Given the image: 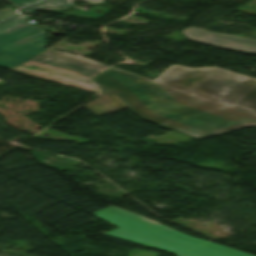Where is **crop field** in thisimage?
<instances>
[{"label":"crop field","mask_w":256,"mask_h":256,"mask_svg":"<svg viewBox=\"0 0 256 256\" xmlns=\"http://www.w3.org/2000/svg\"><path fill=\"white\" fill-rule=\"evenodd\" d=\"M93 80L110 89L83 105L98 115L129 107L147 121L199 139L256 126V78L173 65L154 80L115 67Z\"/></svg>","instance_id":"crop-field-1"},{"label":"crop field","mask_w":256,"mask_h":256,"mask_svg":"<svg viewBox=\"0 0 256 256\" xmlns=\"http://www.w3.org/2000/svg\"><path fill=\"white\" fill-rule=\"evenodd\" d=\"M92 214L120 227L102 234L173 252L177 256H253L166 226L149 224L147 222L152 220L114 206Z\"/></svg>","instance_id":"crop-field-2"},{"label":"crop field","mask_w":256,"mask_h":256,"mask_svg":"<svg viewBox=\"0 0 256 256\" xmlns=\"http://www.w3.org/2000/svg\"><path fill=\"white\" fill-rule=\"evenodd\" d=\"M47 31L18 15L0 23V67L11 70L46 45Z\"/></svg>","instance_id":"crop-field-3"},{"label":"crop field","mask_w":256,"mask_h":256,"mask_svg":"<svg viewBox=\"0 0 256 256\" xmlns=\"http://www.w3.org/2000/svg\"><path fill=\"white\" fill-rule=\"evenodd\" d=\"M31 60L92 79L110 68L96 62L47 49Z\"/></svg>","instance_id":"crop-field-4"},{"label":"crop field","mask_w":256,"mask_h":256,"mask_svg":"<svg viewBox=\"0 0 256 256\" xmlns=\"http://www.w3.org/2000/svg\"><path fill=\"white\" fill-rule=\"evenodd\" d=\"M182 33H184L193 41L228 48L240 52L256 54L255 39L229 34L214 33L193 27L184 29Z\"/></svg>","instance_id":"crop-field-5"},{"label":"crop field","mask_w":256,"mask_h":256,"mask_svg":"<svg viewBox=\"0 0 256 256\" xmlns=\"http://www.w3.org/2000/svg\"><path fill=\"white\" fill-rule=\"evenodd\" d=\"M75 0H46L34 7L26 8L21 11L24 13H30L33 12L41 7H64V6H74L72 3ZM84 2H87L89 4H94V3H100L103 2L102 0H82Z\"/></svg>","instance_id":"crop-field-6"},{"label":"crop field","mask_w":256,"mask_h":256,"mask_svg":"<svg viewBox=\"0 0 256 256\" xmlns=\"http://www.w3.org/2000/svg\"><path fill=\"white\" fill-rule=\"evenodd\" d=\"M25 69H27L29 71L37 72V73L46 74V75H49V76H52V77H55V78H59V79H62V80L68 81V82H72V83H76V84H80V85L90 87V86L84 84L83 83L84 81H82L80 79H77L75 77L68 76V75H65V74H61V73H58V72H55V71H51V70H48V69H45V68H42V67H39V66H36V65H30V66L26 67Z\"/></svg>","instance_id":"crop-field-7"},{"label":"crop field","mask_w":256,"mask_h":256,"mask_svg":"<svg viewBox=\"0 0 256 256\" xmlns=\"http://www.w3.org/2000/svg\"><path fill=\"white\" fill-rule=\"evenodd\" d=\"M30 61H31V60H29V61L23 63L22 65H24V64H26V63H28V62H30ZM22 65L18 66L17 68L21 67ZM45 66H47V65H45ZM48 67H50V66H48ZM17 68L13 69L12 71H15V72H18V73H22V74H26V75H30V76H34V77H38V78H42V79H46V80L53 81V82H57V83H61V84H65V83H62V82L54 81V80L47 79V78H44V77H40V76H36V75H33V74H29V73H26V72L18 71V70H16ZM51 68H53V67H51ZM54 69H56V68H54ZM57 70H59V69H57ZM60 71H62V70H60ZM63 72H65V71H63ZM66 73H68V72H66ZM69 74H71V73H69ZM71 75H74V74H71ZM74 76H77V77H80V78H83V79H86V80H90V79H87V78H84V77H81V76H78V75H74ZM90 81H92V80H90ZM92 82H94V81H92ZM85 83L88 84V85H90L91 88L96 89V91L89 90V89H85V88H81V87H77V86H73V85H69V84H65V85H69V86L81 88V89L88 90V91H92V92H96V93L100 92V90L97 89L95 86H93L91 83H89V82H85ZM94 83H95L96 85H98L99 87H101L103 90H105V91L108 90V89L104 88L103 86L97 84L96 82H94Z\"/></svg>","instance_id":"crop-field-8"},{"label":"crop field","mask_w":256,"mask_h":256,"mask_svg":"<svg viewBox=\"0 0 256 256\" xmlns=\"http://www.w3.org/2000/svg\"><path fill=\"white\" fill-rule=\"evenodd\" d=\"M7 1L14 4L17 7H20V6L31 4L37 0H7Z\"/></svg>","instance_id":"crop-field-9"},{"label":"crop field","mask_w":256,"mask_h":256,"mask_svg":"<svg viewBox=\"0 0 256 256\" xmlns=\"http://www.w3.org/2000/svg\"><path fill=\"white\" fill-rule=\"evenodd\" d=\"M14 13H15V10L11 7H8L6 9L0 11V20L5 18V17H8V16H10Z\"/></svg>","instance_id":"crop-field-10"},{"label":"crop field","mask_w":256,"mask_h":256,"mask_svg":"<svg viewBox=\"0 0 256 256\" xmlns=\"http://www.w3.org/2000/svg\"><path fill=\"white\" fill-rule=\"evenodd\" d=\"M85 81H86V80H85ZM89 82H90V81H89ZM91 83H92V82H91ZM92 84H93V83H92ZM94 85H95V84H94ZM95 86H96V85H95ZM97 87H98V86H97ZM98 88H99V87H98ZM101 90H102V89H101ZM103 92H105V91H103V90H102V92H101V93H103ZM101 93H99V94H101Z\"/></svg>","instance_id":"crop-field-11"},{"label":"crop field","mask_w":256,"mask_h":256,"mask_svg":"<svg viewBox=\"0 0 256 256\" xmlns=\"http://www.w3.org/2000/svg\"><path fill=\"white\" fill-rule=\"evenodd\" d=\"M150 223H156V224H159V223H157V222H155V221H152V222H150Z\"/></svg>","instance_id":"crop-field-12"}]
</instances>
